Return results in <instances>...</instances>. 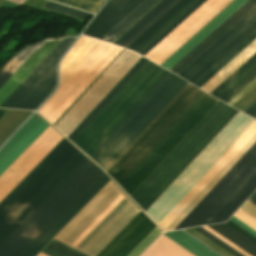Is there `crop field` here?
Masks as SVG:
<instances>
[{
    "label": "crop field",
    "instance_id": "crop-field-1",
    "mask_svg": "<svg viewBox=\"0 0 256 256\" xmlns=\"http://www.w3.org/2000/svg\"><path fill=\"white\" fill-rule=\"evenodd\" d=\"M187 83L148 61L73 143L106 171Z\"/></svg>",
    "mask_w": 256,
    "mask_h": 256
},
{
    "label": "crop field",
    "instance_id": "crop-field-2",
    "mask_svg": "<svg viewBox=\"0 0 256 256\" xmlns=\"http://www.w3.org/2000/svg\"><path fill=\"white\" fill-rule=\"evenodd\" d=\"M217 102L188 83L106 172L131 196Z\"/></svg>",
    "mask_w": 256,
    "mask_h": 256
},
{
    "label": "crop field",
    "instance_id": "crop-field-3",
    "mask_svg": "<svg viewBox=\"0 0 256 256\" xmlns=\"http://www.w3.org/2000/svg\"><path fill=\"white\" fill-rule=\"evenodd\" d=\"M103 175L87 159L0 248V256H25Z\"/></svg>",
    "mask_w": 256,
    "mask_h": 256
},
{
    "label": "crop field",
    "instance_id": "crop-field-4",
    "mask_svg": "<svg viewBox=\"0 0 256 256\" xmlns=\"http://www.w3.org/2000/svg\"><path fill=\"white\" fill-rule=\"evenodd\" d=\"M237 112L219 101L137 189L133 200L145 211Z\"/></svg>",
    "mask_w": 256,
    "mask_h": 256
},
{
    "label": "crop field",
    "instance_id": "crop-field-5",
    "mask_svg": "<svg viewBox=\"0 0 256 256\" xmlns=\"http://www.w3.org/2000/svg\"><path fill=\"white\" fill-rule=\"evenodd\" d=\"M256 189V143L173 229L226 221Z\"/></svg>",
    "mask_w": 256,
    "mask_h": 256
},
{
    "label": "crop field",
    "instance_id": "crop-field-6",
    "mask_svg": "<svg viewBox=\"0 0 256 256\" xmlns=\"http://www.w3.org/2000/svg\"><path fill=\"white\" fill-rule=\"evenodd\" d=\"M122 49L100 41L38 112L53 124Z\"/></svg>",
    "mask_w": 256,
    "mask_h": 256
},
{
    "label": "crop field",
    "instance_id": "crop-field-7",
    "mask_svg": "<svg viewBox=\"0 0 256 256\" xmlns=\"http://www.w3.org/2000/svg\"><path fill=\"white\" fill-rule=\"evenodd\" d=\"M129 201L110 181L55 239L80 251Z\"/></svg>",
    "mask_w": 256,
    "mask_h": 256
},
{
    "label": "crop field",
    "instance_id": "crop-field-8",
    "mask_svg": "<svg viewBox=\"0 0 256 256\" xmlns=\"http://www.w3.org/2000/svg\"><path fill=\"white\" fill-rule=\"evenodd\" d=\"M255 142L256 120L158 225L164 231L172 230Z\"/></svg>",
    "mask_w": 256,
    "mask_h": 256
},
{
    "label": "crop field",
    "instance_id": "crop-field-9",
    "mask_svg": "<svg viewBox=\"0 0 256 256\" xmlns=\"http://www.w3.org/2000/svg\"><path fill=\"white\" fill-rule=\"evenodd\" d=\"M124 50V49H123ZM122 50V51H123ZM121 51V52H122ZM120 52V53H121ZM119 53V54H120ZM118 54V55H119ZM117 55V56H118ZM142 56L125 49L118 58L101 74V76L94 82L89 85V89L86 90L74 101L73 104L60 116V118L53 124L61 133L66 137L74 130V128L89 114V112L104 98V96L119 82V80L134 66V64Z\"/></svg>",
    "mask_w": 256,
    "mask_h": 256
},
{
    "label": "crop field",
    "instance_id": "crop-field-10",
    "mask_svg": "<svg viewBox=\"0 0 256 256\" xmlns=\"http://www.w3.org/2000/svg\"><path fill=\"white\" fill-rule=\"evenodd\" d=\"M64 138L0 202V228L76 152Z\"/></svg>",
    "mask_w": 256,
    "mask_h": 256
},
{
    "label": "crop field",
    "instance_id": "crop-field-11",
    "mask_svg": "<svg viewBox=\"0 0 256 256\" xmlns=\"http://www.w3.org/2000/svg\"><path fill=\"white\" fill-rule=\"evenodd\" d=\"M75 38H64L0 105L35 110L56 85V65Z\"/></svg>",
    "mask_w": 256,
    "mask_h": 256
},
{
    "label": "crop field",
    "instance_id": "crop-field-12",
    "mask_svg": "<svg viewBox=\"0 0 256 256\" xmlns=\"http://www.w3.org/2000/svg\"><path fill=\"white\" fill-rule=\"evenodd\" d=\"M78 151L0 229V247L86 160Z\"/></svg>",
    "mask_w": 256,
    "mask_h": 256
},
{
    "label": "crop field",
    "instance_id": "crop-field-13",
    "mask_svg": "<svg viewBox=\"0 0 256 256\" xmlns=\"http://www.w3.org/2000/svg\"><path fill=\"white\" fill-rule=\"evenodd\" d=\"M50 126L0 176V201L37 165L62 139Z\"/></svg>",
    "mask_w": 256,
    "mask_h": 256
},
{
    "label": "crop field",
    "instance_id": "crop-field-14",
    "mask_svg": "<svg viewBox=\"0 0 256 256\" xmlns=\"http://www.w3.org/2000/svg\"><path fill=\"white\" fill-rule=\"evenodd\" d=\"M155 227L140 211L97 256H127ZM160 233L156 227L128 256H138Z\"/></svg>",
    "mask_w": 256,
    "mask_h": 256
},
{
    "label": "crop field",
    "instance_id": "crop-field-15",
    "mask_svg": "<svg viewBox=\"0 0 256 256\" xmlns=\"http://www.w3.org/2000/svg\"><path fill=\"white\" fill-rule=\"evenodd\" d=\"M143 0H110L83 33L100 39Z\"/></svg>",
    "mask_w": 256,
    "mask_h": 256
},
{
    "label": "crop field",
    "instance_id": "crop-field-16",
    "mask_svg": "<svg viewBox=\"0 0 256 256\" xmlns=\"http://www.w3.org/2000/svg\"><path fill=\"white\" fill-rule=\"evenodd\" d=\"M256 77V52L209 94L228 102Z\"/></svg>",
    "mask_w": 256,
    "mask_h": 256
},
{
    "label": "crop field",
    "instance_id": "crop-field-17",
    "mask_svg": "<svg viewBox=\"0 0 256 256\" xmlns=\"http://www.w3.org/2000/svg\"><path fill=\"white\" fill-rule=\"evenodd\" d=\"M139 211L130 201L81 252L96 256Z\"/></svg>",
    "mask_w": 256,
    "mask_h": 256
},
{
    "label": "crop field",
    "instance_id": "crop-field-18",
    "mask_svg": "<svg viewBox=\"0 0 256 256\" xmlns=\"http://www.w3.org/2000/svg\"><path fill=\"white\" fill-rule=\"evenodd\" d=\"M255 19L256 6L252 8L241 20H239L225 34H223L216 42H214L208 49H206L188 67L186 66L187 68H185L181 73H179L178 76L187 80Z\"/></svg>",
    "mask_w": 256,
    "mask_h": 256
},
{
    "label": "crop field",
    "instance_id": "crop-field-19",
    "mask_svg": "<svg viewBox=\"0 0 256 256\" xmlns=\"http://www.w3.org/2000/svg\"><path fill=\"white\" fill-rule=\"evenodd\" d=\"M63 38L47 39L37 51L0 88V104L30 74V72L53 50Z\"/></svg>",
    "mask_w": 256,
    "mask_h": 256
},
{
    "label": "crop field",
    "instance_id": "crop-field-20",
    "mask_svg": "<svg viewBox=\"0 0 256 256\" xmlns=\"http://www.w3.org/2000/svg\"><path fill=\"white\" fill-rule=\"evenodd\" d=\"M206 0H190L133 51L145 55Z\"/></svg>",
    "mask_w": 256,
    "mask_h": 256
},
{
    "label": "crop field",
    "instance_id": "crop-field-21",
    "mask_svg": "<svg viewBox=\"0 0 256 256\" xmlns=\"http://www.w3.org/2000/svg\"><path fill=\"white\" fill-rule=\"evenodd\" d=\"M256 5V0H248L241 6L233 15H231L223 24L197 45L190 53L180 60L170 71L178 73L206 48H208L216 39H218L225 31H227L234 23H236L243 15H245L253 6Z\"/></svg>",
    "mask_w": 256,
    "mask_h": 256
},
{
    "label": "crop field",
    "instance_id": "crop-field-22",
    "mask_svg": "<svg viewBox=\"0 0 256 256\" xmlns=\"http://www.w3.org/2000/svg\"><path fill=\"white\" fill-rule=\"evenodd\" d=\"M247 0H235L161 66L170 69Z\"/></svg>",
    "mask_w": 256,
    "mask_h": 256
},
{
    "label": "crop field",
    "instance_id": "crop-field-23",
    "mask_svg": "<svg viewBox=\"0 0 256 256\" xmlns=\"http://www.w3.org/2000/svg\"><path fill=\"white\" fill-rule=\"evenodd\" d=\"M231 1L232 0H219L212 8H210L152 61L160 65Z\"/></svg>",
    "mask_w": 256,
    "mask_h": 256
},
{
    "label": "crop field",
    "instance_id": "crop-field-24",
    "mask_svg": "<svg viewBox=\"0 0 256 256\" xmlns=\"http://www.w3.org/2000/svg\"><path fill=\"white\" fill-rule=\"evenodd\" d=\"M109 181L104 175L26 256H35Z\"/></svg>",
    "mask_w": 256,
    "mask_h": 256
},
{
    "label": "crop field",
    "instance_id": "crop-field-25",
    "mask_svg": "<svg viewBox=\"0 0 256 256\" xmlns=\"http://www.w3.org/2000/svg\"><path fill=\"white\" fill-rule=\"evenodd\" d=\"M147 61L148 60L142 57L67 138L73 142L78 137V135L91 123V121L104 109V107L116 96V94L129 82V80L142 68V66Z\"/></svg>",
    "mask_w": 256,
    "mask_h": 256
},
{
    "label": "crop field",
    "instance_id": "crop-field-26",
    "mask_svg": "<svg viewBox=\"0 0 256 256\" xmlns=\"http://www.w3.org/2000/svg\"><path fill=\"white\" fill-rule=\"evenodd\" d=\"M178 1L179 0H163L160 2L136 25H134L128 32H126L119 40H117L115 44L126 48Z\"/></svg>",
    "mask_w": 256,
    "mask_h": 256
},
{
    "label": "crop field",
    "instance_id": "crop-field-27",
    "mask_svg": "<svg viewBox=\"0 0 256 256\" xmlns=\"http://www.w3.org/2000/svg\"><path fill=\"white\" fill-rule=\"evenodd\" d=\"M99 40L80 36L73 47L62 59L60 64V83L79 64V62L93 49ZM59 83V84H60Z\"/></svg>",
    "mask_w": 256,
    "mask_h": 256
},
{
    "label": "crop field",
    "instance_id": "crop-field-28",
    "mask_svg": "<svg viewBox=\"0 0 256 256\" xmlns=\"http://www.w3.org/2000/svg\"><path fill=\"white\" fill-rule=\"evenodd\" d=\"M256 30V20L252 22L245 30H243L236 38H234L227 46H225L218 54H216L210 61H208L201 69H199L187 81L195 84L206 73H208L215 65H217L223 58H225L233 49H235L241 42H243L250 34Z\"/></svg>",
    "mask_w": 256,
    "mask_h": 256
},
{
    "label": "crop field",
    "instance_id": "crop-field-29",
    "mask_svg": "<svg viewBox=\"0 0 256 256\" xmlns=\"http://www.w3.org/2000/svg\"><path fill=\"white\" fill-rule=\"evenodd\" d=\"M160 0H145L113 29H111L101 40L112 43L123 32H125L132 24L142 17L149 9H151Z\"/></svg>",
    "mask_w": 256,
    "mask_h": 256
},
{
    "label": "crop field",
    "instance_id": "crop-field-30",
    "mask_svg": "<svg viewBox=\"0 0 256 256\" xmlns=\"http://www.w3.org/2000/svg\"><path fill=\"white\" fill-rule=\"evenodd\" d=\"M218 0H207L201 7H199L192 15H190L184 22H182L175 30H173L166 38H164L158 45H156L145 57L153 59L158 55L167 45H169L179 34H181L189 25H191L197 18H199L205 11H207Z\"/></svg>",
    "mask_w": 256,
    "mask_h": 256
},
{
    "label": "crop field",
    "instance_id": "crop-field-31",
    "mask_svg": "<svg viewBox=\"0 0 256 256\" xmlns=\"http://www.w3.org/2000/svg\"><path fill=\"white\" fill-rule=\"evenodd\" d=\"M42 120L0 161V175L48 127Z\"/></svg>",
    "mask_w": 256,
    "mask_h": 256
},
{
    "label": "crop field",
    "instance_id": "crop-field-32",
    "mask_svg": "<svg viewBox=\"0 0 256 256\" xmlns=\"http://www.w3.org/2000/svg\"><path fill=\"white\" fill-rule=\"evenodd\" d=\"M163 235L179 244L195 256H219L183 231L168 232Z\"/></svg>",
    "mask_w": 256,
    "mask_h": 256
},
{
    "label": "crop field",
    "instance_id": "crop-field-33",
    "mask_svg": "<svg viewBox=\"0 0 256 256\" xmlns=\"http://www.w3.org/2000/svg\"><path fill=\"white\" fill-rule=\"evenodd\" d=\"M142 256H193V255L162 235Z\"/></svg>",
    "mask_w": 256,
    "mask_h": 256
},
{
    "label": "crop field",
    "instance_id": "crop-field-34",
    "mask_svg": "<svg viewBox=\"0 0 256 256\" xmlns=\"http://www.w3.org/2000/svg\"><path fill=\"white\" fill-rule=\"evenodd\" d=\"M210 229L239 247L240 249L244 250L251 256H256V245L230 229L224 224L221 225H215V226H209Z\"/></svg>",
    "mask_w": 256,
    "mask_h": 256
},
{
    "label": "crop field",
    "instance_id": "crop-field-35",
    "mask_svg": "<svg viewBox=\"0 0 256 256\" xmlns=\"http://www.w3.org/2000/svg\"><path fill=\"white\" fill-rule=\"evenodd\" d=\"M35 114L27 121L0 150V160L40 121Z\"/></svg>",
    "mask_w": 256,
    "mask_h": 256
},
{
    "label": "crop field",
    "instance_id": "crop-field-36",
    "mask_svg": "<svg viewBox=\"0 0 256 256\" xmlns=\"http://www.w3.org/2000/svg\"><path fill=\"white\" fill-rule=\"evenodd\" d=\"M189 0H180L173 6L166 14H164L156 23H154L147 31H145L139 38H137L127 49L133 50L144 39H146L152 32H154L160 25H162L168 18H170L176 11H178Z\"/></svg>",
    "mask_w": 256,
    "mask_h": 256
},
{
    "label": "crop field",
    "instance_id": "crop-field-37",
    "mask_svg": "<svg viewBox=\"0 0 256 256\" xmlns=\"http://www.w3.org/2000/svg\"><path fill=\"white\" fill-rule=\"evenodd\" d=\"M256 83V79L249 84L242 92H240L236 97H234L228 104H232L234 101H236L242 94H244L251 86H253ZM256 91V84L251 87L244 95H242L236 102H234L231 106L234 108H237L239 105H241L247 98H249L254 92ZM254 101H256V93H254L249 99H247L241 106H239L237 109L240 111H244L246 108H248Z\"/></svg>",
    "mask_w": 256,
    "mask_h": 256
},
{
    "label": "crop field",
    "instance_id": "crop-field-38",
    "mask_svg": "<svg viewBox=\"0 0 256 256\" xmlns=\"http://www.w3.org/2000/svg\"><path fill=\"white\" fill-rule=\"evenodd\" d=\"M256 38V31L249 36L243 43H241L234 51H232L225 59H223L215 68H213L205 77H203L195 85L200 88V86L211 78L215 73H217L230 59L237 55L243 48H245L251 41Z\"/></svg>",
    "mask_w": 256,
    "mask_h": 256
},
{
    "label": "crop field",
    "instance_id": "crop-field-39",
    "mask_svg": "<svg viewBox=\"0 0 256 256\" xmlns=\"http://www.w3.org/2000/svg\"><path fill=\"white\" fill-rule=\"evenodd\" d=\"M44 8L51 9V10H54V11H57V12H60V13H64V14H67V15H70V16H73V17H76V18L83 19V20L87 16L90 15V13L75 10V9H72V8H69V7H66V6H63V5H59V4L50 2V1H48L46 3Z\"/></svg>",
    "mask_w": 256,
    "mask_h": 256
},
{
    "label": "crop field",
    "instance_id": "crop-field-40",
    "mask_svg": "<svg viewBox=\"0 0 256 256\" xmlns=\"http://www.w3.org/2000/svg\"><path fill=\"white\" fill-rule=\"evenodd\" d=\"M47 248L63 255V256H86L56 240H52Z\"/></svg>",
    "mask_w": 256,
    "mask_h": 256
},
{
    "label": "crop field",
    "instance_id": "crop-field-41",
    "mask_svg": "<svg viewBox=\"0 0 256 256\" xmlns=\"http://www.w3.org/2000/svg\"><path fill=\"white\" fill-rule=\"evenodd\" d=\"M95 12L104 0H58Z\"/></svg>",
    "mask_w": 256,
    "mask_h": 256
},
{
    "label": "crop field",
    "instance_id": "crop-field-42",
    "mask_svg": "<svg viewBox=\"0 0 256 256\" xmlns=\"http://www.w3.org/2000/svg\"><path fill=\"white\" fill-rule=\"evenodd\" d=\"M185 231H187L188 233H190L191 235H193L194 237H196L197 239H199L200 241H202L203 243H205L206 245H208L209 247H211L212 249H214L215 251H217L221 255H223V256H232L231 254H229L228 252H226L225 250H223L222 248H220L219 246H217L216 244H214L213 242H211L210 240H208L207 238H205L204 236H202L201 234H199L195 230L188 229V230H185Z\"/></svg>",
    "mask_w": 256,
    "mask_h": 256
},
{
    "label": "crop field",
    "instance_id": "crop-field-43",
    "mask_svg": "<svg viewBox=\"0 0 256 256\" xmlns=\"http://www.w3.org/2000/svg\"><path fill=\"white\" fill-rule=\"evenodd\" d=\"M195 230L204 235L205 237H207L208 239H210L211 241H213L214 243H216L217 245H219L220 247H222L223 249H225L226 251H228L229 253L233 254L234 256H242L233 249H231L230 247H228L227 245H225L224 243H222L221 241H219L218 239H216L215 237H213L212 235H210L209 233H207L206 231H204L203 229L196 228Z\"/></svg>",
    "mask_w": 256,
    "mask_h": 256
},
{
    "label": "crop field",
    "instance_id": "crop-field-44",
    "mask_svg": "<svg viewBox=\"0 0 256 256\" xmlns=\"http://www.w3.org/2000/svg\"><path fill=\"white\" fill-rule=\"evenodd\" d=\"M225 224L227 226H229L230 228H232L233 230H235L236 232H238L239 234H241L242 236H244L245 238H247L248 240H250L251 242H253L254 244H256V238L255 237H253L252 235H250L249 233H247L246 231H244L243 229H241L240 227H238L237 225H235L231 221L228 220V222L225 223Z\"/></svg>",
    "mask_w": 256,
    "mask_h": 256
},
{
    "label": "crop field",
    "instance_id": "crop-field-45",
    "mask_svg": "<svg viewBox=\"0 0 256 256\" xmlns=\"http://www.w3.org/2000/svg\"><path fill=\"white\" fill-rule=\"evenodd\" d=\"M203 229L206 230L207 232H209L210 234H212L213 236H215L216 238H218L219 240H221L222 242H224L225 244H227L228 246H230L231 248L235 249L236 251H238L242 255L250 256L247 253H245L244 251H242L239 248H237L236 246H234L233 244H231L230 242H228L227 240H225L224 238H222L221 236H219L218 234H216L215 232H213L212 230H210L209 228L203 227Z\"/></svg>",
    "mask_w": 256,
    "mask_h": 256
},
{
    "label": "crop field",
    "instance_id": "crop-field-46",
    "mask_svg": "<svg viewBox=\"0 0 256 256\" xmlns=\"http://www.w3.org/2000/svg\"><path fill=\"white\" fill-rule=\"evenodd\" d=\"M241 210L256 219V206H254L250 202H247Z\"/></svg>",
    "mask_w": 256,
    "mask_h": 256
},
{
    "label": "crop field",
    "instance_id": "crop-field-47",
    "mask_svg": "<svg viewBox=\"0 0 256 256\" xmlns=\"http://www.w3.org/2000/svg\"><path fill=\"white\" fill-rule=\"evenodd\" d=\"M229 220H231L232 222H234L235 224H237L238 226H240L241 228H243L244 230H246L247 232H249L250 234L256 237V231H254L253 229H251L250 227H248L247 225H245L235 217L232 216Z\"/></svg>",
    "mask_w": 256,
    "mask_h": 256
},
{
    "label": "crop field",
    "instance_id": "crop-field-48",
    "mask_svg": "<svg viewBox=\"0 0 256 256\" xmlns=\"http://www.w3.org/2000/svg\"><path fill=\"white\" fill-rule=\"evenodd\" d=\"M244 113L254 117L256 115V102H254L248 109H246Z\"/></svg>",
    "mask_w": 256,
    "mask_h": 256
},
{
    "label": "crop field",
    "instance_id": "crop-field-49",
    "mask_svg": "<svg viewBox=\"0 0 256 256\" xmlns=\"http://www.w3.org/2000/svg\"><path fill=\"white\" fill-rule=\"evenodd\" d=\"M42 252H44V253H46V254H48L50 256H60V255H58V254H56V253H54V252H52V251H50V250H48L46 248L44 250H42Z\"/></svg>",
    "mask_w": 256,
    "mask_h": 256
},
{
    "label": "crop field",
    "instance_id": "crop-field-50",
    "mask_svg": "<svg viewBox=\"0 0 256 256\" xmlns=\"http://www.w3.org/2000/svg\"><path fill=\"white\" fill-rule=\"evenodd\" d=\"M7 110L0 109V117L6 112Z\"/></svg>",
    "mask_w": 256,
    "mask_h": 256
},
{
    "label": "crop field",
    "instance_id": "crop-field-51",
    "mask_svg": "<svg viewBox=\"0 0 256 256\" xmlns=\"http://www.w3.org/2000/svg\"><path fill=\"white\" fill-rule=\"evenodd\" d=\"M249 201H251L252 203H254L256 205V200H254L253 198L250 197Z\"/></svg>",
    "mask_w": 256,
    "mask_h": 256
},
{
    "label": "crop field",
    "instance_id": "crop-field-52",
    "mask_svg": "<svg viewBox=\"0 0 256 256\" xmlns=\"http://www.w3.org/2000/svg\"><path fill=\"white\" fill-rule=\"evenodd\" d=\"M37 256H47V255L40 252Z\"/></svg>",
    "mask_w": 256,
    "mask_h": 256
},
{
    "label": "crop field",
    "instance_id": "crop-field-53",
    "mask_svg": "<svg viewBox=\"0 0 256 256\" xmlns=\"http://www.w3.org/2000/svg\"><path fill=\"white\" fill-rule=\"evenodd\" d=\"M251 197H253L254 199H256V193L254 192Z\"/></svg>",
    "mask_w": 256,
    "mask_h": 256
},
{
    "label": "crop field",
    "instance_id": "crop-field-54",
    "mask_svg": "<svg viewBox=\"0 0 256 256\" xmlns=\"http://www.w3.org/2000/svg\"><path fill=\"white\" fill-rule=\"evenodd\" d=\"M256 118V117H255Z\"/></svg>",
    "mask_w": 256,
    "mask_h": 256
},
{
    "label": "crop field",
    "instance_id": "crop-field-55",
    "mask_svg": "<svg viewBox=\"0 0 256 256\" xmlns=\"http://www.w3.org/2000/svg\"><path fill=\"white\" fill-rule=\"evenodd\" d=\"M256 192V191H255Z\"/></svg>",
    "mask_w": 256,
    "mask_h": 256
}]
</instances>
